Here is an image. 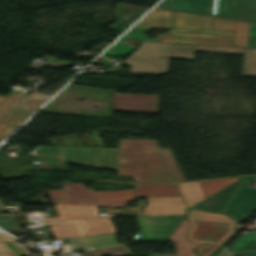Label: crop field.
Segmentation results:
<instances>
[{
    "label": "crop field",
    "instance_id": "17",
    "mask_svg": "<svg viewBox=\"0 0 256 256\" xmlns=\"http://www.w3.org/2000/svg\"><path fill=\"white\" fill-rule=\"evenodd\" d=\"M189 228L188 223L185 219H182V221L177 226L176 230L173 232V234L169 237L168 241L175 242L177 253L176 255H168V254H160L157 256H196L192 249L195 246H201L206 244H197L190 242L185 237V231Z\"/></svg>",
    "mask_w": 256,
    "mask_h": 256
},
{
    "label": "crop field",
    "instance_id": "31",
    "mask_svg": "<svg viewBox=\"0 0 256 256\" xmlns=\"http://www.w3.org/2000/svg\"><path fill=\"white\" fill-rule=\"evenodd\" d=\"M233 256H256V251L231 253Z\"/></svg>",
    "mask_w": 256,
    "mask_h": 256
},
{
    "label": "crop field",
    "instance_id": "30",
    "mask_svg": "<svg viewBox=\"0 0 256 256\" xmlns=\"http://www.w3.org/2000/svg\"><path fill=\"white\" fill-rule=\"evenodd\" d=\"M0 256H17L5 243H0Z\"/></svg>",
    "mask_w": 256,
    "mask_h": 256
},
{
    "label": "crop field",
    "instance_id": "11",
    "mask_svg": "<svg viewBox=\"0 0 256 256\" xmlns=\"http://www.w3.org/2000/svg\"><path fill=\"white\" fill-rule=\"evenodd\" d=\"M114 111L143 112L157 114L158 96L113 94Z\"/></svg>",
    "mask_w": 256,
    "mask_h": 256
},
{
    "label": "crop field",
    "instance_id": "23",
    "mask_svg": "<svg viewBox=\"0 0 256 256\" xmlns=\"http://www.w3.org/2000/svg\"><path fill=\"white\" fill-rule=\"evenodd\" d=\"M173 15L174 28L201 29L199 16L176 12Z\"/></svg>",
    "mask_w": 256,
    "mask_h": 256
},
{
    "label": "crop field",
    "instance_id": "28",
    "mask_svg": "<svg viewBox=\"0 0 256 256\" xmlns=\"http://www.w3.org/2000/svg\"><path fill=\"white\" fill-rule=\"evenodd\" d=\"M54 204H95L94 199H52Z\"/></svg>",
    "mask_w": 256,
    "mask_h": 256
},
{
    "label": "crop field",
    "instance_id": "33",
    "mask_svg": "<svg viewBox=\"0 0 256 256\" xmlns=\"http://www.w3.org/2000/svg\"><path fill=\"white\" fill-rule=\"evenodd\" d=\"M216 256H229V255L226 253V251L223 248Z\"/></svg>",
    "mask_w": 256,
    "mask_h": 256
},
{
    "label": "crop field",
    "instance_id": "4",
    "mask_svg": "<svg viewBox=\"0 0 256 256\" xmlns=\"http://www.w3.org/2000/svg\"><path fill=\"white\" fill-rule=\"evenodd\" d=\"M157 6L256 21V0H163Z\"/></svg>",
    "mask_w": 256,
    "mask_h": 256
},
{
    "label": "crop field",
    "instance_id": "10",
    "mask_svg": "<svg viewBox=\"0 0 256 256\" xmlns=\"http://www.w3.org/2000/svg\"><path fill=\"white\" fill-rule=\"evenodd\" d=\"M246 182H241L225 208V214L240 222L249 218L256 211V189L246 187Z\"/></svg>",
    "mask_w": 256,
    "mask_h": 256
},
{
    "label": "crop field",
    "instance_id": "18",
    "mask_svg": "<svg viewBox=\"0 0 256 256\" xmlns=\"http://www.w3.org/2000/svg\"><path fill=\"white\" fill-rule=\"evenodd\" d=\"M134 28H173L172 12L153 9Z\"/></svg>",
    "mask_w": 256,
    "mask_h": 256
},
{
    "label": "crop field",
    "instance_id": "20",
    "mask_svg": "<svg viewBox=\"0 0 256 256\" xmlns=\"http://www.w3.org/2000/svg\"><path fill=\"white\" fill-rule=\"evenodd\" d=\"M135 197L180 195L175 184L135 185Z\"/></svg>",
    "mask_w": 256,
    "mask_h": 256
},
{
    "label": "crop field",
    "instance_id": "13",
    "mask_svg": "<svg viewBox=\"0 0 256 256\" xmlns=\"http://www.w3.org/2000/svg\"><path fill=\"white\" fill-rule=\"evenodd\" d=\"M145 215L186 213L180 196L147 198Z\"/></svg>",
    "mask_w": 256,
    "mask_h": 256
},
{
    "label": "crop field",
    "instance_id": "29",
    "mask_svg": "<svg viewBox=\"0 0 256 256\" xmlns=\"http://www.w3.org/2000/svg\"><path fill=\"white\" fill-rule=\"evenodd\" d=\"M248 47L256 48V22H251Z\"/></svg>",
    "mask_w": 256,
    "mask_h": 256
},
{
    "label": "crop field",
    "instance_id": "8",
    "mask_svg": "<svg viewBox=\"0 0 256 256\" xmlns=\"http://www.w3.org/2000/svg\"><path fill=\"white\" fill-rule=\"evenodd\" d=\"M56 238L115 232L109 217L50 222Z\"/></svg>",
    "mask_w": 256,
    "mask_h": 256
},
{
    "label": "crop field",
    "instance_id": "14",
    "mask_svg": "<svg viewBox=\"0 0 256 256\" xmlns=\"http://www.w3.org/2000/svg\"><path fill=\"white\" fill-rule=\"evenodd\" d=\"M242 179L254 181L255 177L240 178V180ZM240 180H237L231 183L230 185L222 188L221 190L206 197L205 199L201 200L192 207L215 212L221 211L222 208L227 203V201L229 200V198L231 197V195L233 194V192L235 191Z\"/></svg>",
    "mask_w": 256,
    "mask_h": 256
},
{
    "label": "crop field",
    "instance_id": "6",
    "mask_svg": "<svg viewBox=\"0 0 256 256\" xmlns=\"http://www.w3.org/2000/svg\"><path fill=\"white\" fill-rule=\"evenodd\" d=\"M146 31H148V29H130L117 42H124L125 38H134L149 41L232 46L234 39V32L187 29H171L169 35H157V39H145L143 32ZM130 34H132L133 37H130Z\"/></svg>",
    "mask_w": 256,
    "mask_h": 256
},
{
    "label": "crop field",
    "instance_id": "3",
    "mask_svg": "<svg viewBox=\"0 0 256 256\" xmlns=\"http://www.w3.org/2000/svg\"><path fill=\"white\" fill-rule=\"evenodd\" d=\"M188 218L192 226L189 238L195 242H211L208 246L197 248L201 256H209L235 232L236 221L223 214L189 210Z\"/></svg>",
    "mask_w": 256,
    "mask_h": 256
},
{
    "label": "crop field",
    "instance_id": "12",
    "mask_svg": "<svg viewBox=\"0 0 256 256\" xmlns=\"http://www.w3.org/2000/svg\"><path fill=\"white\" fill-rule=\"evenodd\" d=\"M202 29L235 31L233 46L247 47L250 23L200 16Z\"/></svg>",
    "mask_w": 256,
    "mask_h": 256
},
{
    "label": "crop field",
    "instance_id": "24",
    "mask_svg": "<svg viewBox=\"0 0 256 256\" xmlns=\"http://www.w3.org/2000/svg\"><path fill=\"white\" fill-rule=\"evenodd\" d=\"M237 179L238 178H229V179H220V180L201 181L199 182V184L205 196H208Z\"/></svg>",
    "mask_w": 256,
    "mask_h": 256
},
{
    "label": "crop field",
    "instance_id": "21",
    "mask_svg": "<svg viewBox=\"0 0 256 256\" xmlns=\"http://www.w3.org/2000/svg\"><path fill=\"white\" fill-rule=\"evenodd\" d=\"M177 185L188 207H191V205L205 198L198 182L181 183Z\"/></svg>",
    "mask_w": 256,
    "mask_h": 256
},
{
    "label": "crop field",
    "instance_id": "15",
    "mask_svg": "<svg viewBox=\"0 0 256 256\" xmlns=\"http://www.w3.org/2000/svg\"><path fill=\"white\" fill-rule=\"evenodd\" d=\"M70 242L71 251L118 245L115 233L64 238Z\"/></svg>",
    "mask_w": 256,
    "mask_h": 256
},
{
    "label": "crop field",
    "instance_id": "5",
    "mask_svg": "<svg viewBox=\"0 0 256 256\" xmlns=\"http://www.w3.org/2000/svg\"><path fill=\"white\" fill-rule=\"evenodd\" d=\"M21 98L24 101L19 102ZM49 98L34 92L29 95L14 92L10 97L0 96V141Z\"/></svg>",
    "mask_w": 256,
    "mask_h": 256
},
{
    "label": "crop field",
    "instance_id": "19",
    "mask_svg": "<svg viewBox=\"0 0 256 256\" xmlns=\"http://www.w3.org/2000/svg\"><path fill=\"white\" fill-rule=\"evenodd\" d=\"M61 218L44 219V221L58 219H73L80 217H99L95 205H55ZM94 212V215H91Z\"/></svg>",
    "mask_w": 256,
    "mask_h": 256
},
{
    "label": "crop field",
    "instance_id": "34",
    "mask_svg": "<svg viewBox=\"0 0 256 256\" xmlns=\"http://www.w3.org/2000/svg\"><path fill=\"white\" fill-rule=\"evenodd\" d=\"M0 212H6L4 205L0 201Z\"/></svg>",
    "mask_w": 256,
    "mask_h": 256
},
{
    "label": "crop field",
    "instance_id": "2",
    "mask_svg": "<svg viewBox=\"0 0 256 256\" xmlns=\"http://www.w3.org/2000/svg\"><path fill=\"white\" fill-rule=\"evenodd\" d=\"M66 162L117 171L118 149L96 147H64ZM33 157L43 164V170H66L63 147L38 146Z\"/></svg>",
    "mask_w": 256,
    "mask_h": 256
},
{
    "label": "crop field",
    "instance_id": "26",
    "mask_svg": "<svg viewBox=\"0 0 256 256\" xmlns=\"http://www.w3.org/2000/svg\"><path fill=\"white\" fill-rule=\"evenodd\" d=\"M0 227L6 232L19 231L16 228L15 214H0Z\"/></svg>",
    "mask_w": 256,
    "mask_h": 256
},
{
    "label": "crop field",
    "instance_id": "27",
    "mask_svg": "<svg viewBox=\"0 0 256 256\" xmlns=\"http://www.w3.org/2000/svg\"><path fill=\"white\" fill-rule=\"evenodd\" d=\"M134 47L128 45L127 43H114L105 53L104 55H108L110 57L125 54L132 52Z\"/></svg>",
    "mask_w": 256,
    "mask_h": 256
},
{
    "label": "crop field",
    "instance_id": "16",
    "mask_svg": "<svg viewBox=\"0 0 256 256\" xmlns=\"http://www.w3.org/2000/svg\"><path fill=\"white\" fill-rule=\"evenodd\" d=\"M147 9L148 7L118 3L115 9V13L119 22L109 27V29H112L118 32H123Z\"/></svg>",
    "mask_w": 256,
    "mask_h": 256
},
{
    "label": "crop field",
    "instance_id": "9",
    "mask_svg": "<svg viewBox=\"0 0 256 256\" xmlns=\"http://www.w3.org/2000/svg\"><path fill=\"white\" fill-rule=\"evenodd\" d=\"M182 218H185V215L137 217L142 232L136 234L133 241L165 242Z\"/></svg>",
    "mask_w": 256,
    "mask_h": 256
},
{
    "label": "crop field",
    "instance_id": "7",
    "mask_svg": "<svg viewBox=\"0 0 256 256\" xmlns=\"http://www.w3.org/2000/svg\"><path fill=\"white\" fill-rule=\"evenodd\" d=\"M64 190H47L50 198H95L97 207L125 206L134 199L133 190L92 192L83 183L63 184Z\"/></svg>",
    "mask_w": 256,
    "mask_h": 256
},
{
    "label": "crop field",
    "instance_id": "25",
    "mask_svg": "<svg viewBox=\"0 0 256 256\" xmlns=\"http://www.w3.org/2000/svg\"><path fill=\"white\" fill-rule=\"evenodd\" d=\"M85 253L88 256H101L106 254H112L113 256H128L130 255L124 246H117V247H111L107 249H100V250H89L85 251ZM76 256H85L84 254L76 255Z\"/></svg>",
    "mask_w": 256,
    "mask_h": 256
},
{
    "label": "crop field",
    "instance_id": "1",
    "mask_svg": "<svg viewBox=\"0 0 256 256\" xmlns=\"http://www.w3.org/2000/svg\"><path fill=\"white\" fill-rule=\"evenodd\" d=\"M118 176L138 183L185 181L170 150L143 139H119Z\"/></svg>",
    "mask_w": 256,
    "mask_h": 256
},
{
    "label": "crop field",
    "instance_id": "32",
    "mask_svg": "<svg viewBox=\"0 0 256 256\" xmlns=\"http://www.w3.org/2000/svg\"><path fill=\"white\" fill-rule=\"evenodd\" d=\"M11 240H15V239L11 238L10 236L4 233H0V242L11 241Z\"/></svg>",
    "mask_w": 256,
    "mask_h": 256
},
{
    "label": "crop field",
    "instance_id": "22",
    "mask_svg": "<svg viewBox=\"0 0 256 256\" xmlns=\"http://www.w3.org/2000/svg\"><path fill=\"white\" fill-rule=\"evenodd\" d=\"M228 248L231 252L256 250V233L241 235Z\"/></svg>",
    "mask_w": 256,
    "mask_h": 256
}]
</instances>
